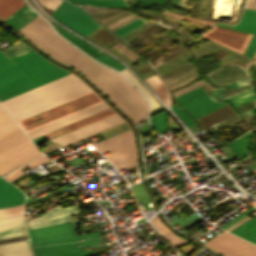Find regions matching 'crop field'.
Segmentation results:
<instances>
[{"label": "crop field", "mask_w": 256, "mask_h": 256, "mask_svg": "<svg viewBox=\"0 0 256 256\" xmlns=\"http://www.w3.org/2000/svg\"><path fill=\"white\" fill-rule=\"evenodd\" d=\"M125 76H127L148 98L151 106V110L159 107L158 103L155 99L151 96V94L142 86V84L131 74V72L126 68L121 71ZM126 77V78H127ZM127 78V79H128ZM150 110V111H151Z\"/></svg>", "instance_id": "crop-field-31"}, {"label": "crop field", "mask_w": 256, "mask_h": 256, "mask_svg": "<svg viewBox=\"0 0 256 256\" xmlns=\"http://www.w3.org/2000/svg\"><path fill=\"white\" fill-rule=\"evenodd\" d=\"M157 25H159V24L156 23V24H154L153 26H151V27L145 29L144 31H142V32H140V33H138V34L140 35V34L146 32L147 30H149V29H151V28H153V27H155V26H157Z\"/></svg>", "instance_id": "crop-field-44"}, {"label": "crop field", "mask_w": 256, "mask_h": 256, "mask_svg": "<svg viewBox=\"0 0 256 256\" xmlns=\"http://www.w3.org/2000/svg\"><path fill=\"white\" fill-rule=\"evenodd\" d=\"M17 32L57 60L82 72L116 103L134 123L146 118L147 103L128 81L119 73L97 64L58 37L39 16Z\"/></svg>", "instance_id": "crop-field-1"}, {"label": "crop field", "mask_w": 256, "mask_h": 256, "mask_svg": "<svg viewBox=\"0 0 256 256\" xmlns=\"http://www.w3.org/2000/svg\"><path fill=\"white\" fill-rule=\"evenodd\" d=\"M147 83L152 87V89L156 92V94L163 99L167 105L169 106V97L168 92L164 86V84L160 81L157 75L152 76L150 78L145 79ZM165 103V104H166Z\"/></svg>", "instance_id": "crop-field-27"}, {"label": "crop field", "mask_w": 256, "mask_h": 256, "mask_svg": "<svg viewBox=\"0 0 256 256\" xmlns=\"http://www.w3.org/2000/svg\"><path fill=\"white\" fill-rule=\"evenodd\" d=\"M23 5H25L23 0H0V19H6Z\"/></svg>", "instance_id": "crop-field-26"}, {"label": "crop field", "mask_w": 256, "mask_h": 256, "mask_svg": "<svg viewBox=\"0 0 256 256\" xmlns=\"http://www.w3.org/2000/svg\"><path fill=\"white\" fill-rule=\"evenodd\" d=\"M36 16L38 15L25 5L8 19H6L5 23L17 31Z\"/></svg>", "instance_id": "crop-field-20"}, {"label": "crop field", "mask_w": 256, "mask_h": 256, "mask_svg": "<svg viewBox=\"0 0 256 256\" xmlns=\"http://www.w3.org/2000/svg\"><path fill=\"white\" fill-rule=\"evenodd\" d=\"M41 5L50 8L54 10L61 2L62 0H38Z\"/></svg>", "instance_id": "crop-field-40"}, {"label": "crop field", "mask_w": 256, "mask_h": 256, "mask_svg": "<svg viewBox=\"0 0 256 256\" xmlns=\"http://www.w3.org/2000/svg\"><path fill=\"white\" fill-rule=\"evenodd\" d=\"M15 127H17L16 123L11 119V117L6 113V111L0 105V135L15 128Z\"/></svg>", "instance_id": "crop-field-30"}, {"label": "crop field", "mask_w": 256, "mask_h": 256, "mask_svg": "<svg viewBox=\"0 0 256 256\" xmlns=\"http://www.w3.org/2000/svg\"><path fill=\"white\" fill-rule=\"evenodd\" d=\"M248 219H249V218L246 217V218L242 219L241 221L235 223L234 225L230 226V227L227 228L226 230L230 231V230L234 229L235 227H237L238 225L242 224L243 222H245V221L248 220Z\"/></svg>", "instance_id": "crop-field-43"}, {"label": "crop field", "mask_w": 256, "mask_h": 256, "mask_svg": "<svg viewBox=\"0 0 256 256\" xmlns=\"http://www.w3.org/2000/svg\"><path fill=\"white\" fill-rule=\"evenodd\" d=\"M32 246L72 242L82 238L99 237L100 232L77 236L71 222L28 230Z\"/></svg>", "instance_id": "crop-field-7"}, {"label": "crop field", "mask_w": 256, "mask_h": 256, "mask_svg": "<svg viewBox=\"0 0 256 256\" xmlns=\"http://www.w3.org/2000/svg\"><path fill=\"white\" fill-rule=\"evenodd\" d=\"M54 27L60 35H62L63 37H65L66 39H68L69 41H71L81 49H83L85 52H87L91 56L95 57L103 53L102 51L96 49L95 47L89 45L88 43L84 42L83 40L79 39L78 37L66 31L65 29L61 28L60 26L56 25Z\"/></svg>", "instance_id": "crop-field-23"}, {"label": "crop field", "mask_w": 256, "mask_h": 256, "mask_svg": "<svg viewBox=\"0 0 256 256\" xmlns=\"http://www.w3.org/2000/svg\"><path fill=\"white\" fill-rule=\"evenodd\" d=\"M27 234L25 231V228L23 225L6 228V229H0V239L14 237V236H20Z\"/></svg>", "instance_id": "crop-field-33"}, {"label": "crop field", "mask_w": 256, "mask_h": 256, "mask_svg": "<svg viewBox=\"0 0 256 256\" xmlns=\"http://www.w3.org/2000/svg\"><path fill=\"white\" fill-rule=\"evenodd\" d=\"M162 13L165 14V15H168V16L184 19V20H187V21L199 23V24H202V25L210 26V27L214 23L212 21L198 19V18H193V17H187V16H183V15H180V14H177V13L168 12V11H163Z\"/></svg>", "instance_id": "crop-field-34"}, {"label": "crop field", "mask_w": 256, "mask_h": 256, "mask_svg": "<svg viewBox=\"0 0 256 256\" xmlns=\"http://www.w3.org/2000/svg\"><path fill=\"white\" fill-rule=\"evenodd\" d=\"M122 123H124V121L117 114H115L52 141L65 147Z\"/></svg>", "instance_id": "crop-field-11"}, {"label": "crop field", "mask_w": 256, "mask_h": 256, "mask_svg": "<svg viewBox=\"0 0 256 256\" xmlns=\"http://www.w3.org/2000/svg\"><path fill=\"white\" fill-rule=\"evenodd\" d=\"M23 207H24V205L17 206V207L6 208V209H1L0 210V217L20 214L23 211Z\"/></svg>", "instance_id": "crop-field-39"}, {"label": "crop field", "mask_w": 256, "mask_h": 256, "mask_svg": "<svg viewBox=\"0 0 256 256\" xmlns=\"http://www.w3.org/2000/svg\"><path fill=\"white\" fill-rule=\"evenodd\" d=\"M76 4H90L97 6L126 7L124 0H68Z\"/></svg>", "instance_id": "crop-field-29"}, {"label": "crop field", "mask_w": 256, "mask_h": 256, "mask_svg": "<svg viewBox=\"0 0 256 256\" xmlns=\"http://www.w3.org/2000/svg\"><path fill=\"white\" fill-rule=\"evenodd\" d=\"M95 59H97L98 61L112 67L115 68L117 70H122L126 67H124L123 65H121L119 62H117L116 60L112 59L111 57L107 56L105 53L95 57Z\"/></svg>", "instance_id": "crop-field-36"}, {"label": "crop field", "mask_w": 256, "mask_h": 256, "mask_svg": "<svg viewBox=\"0 0 256 256\" xmlns=\"http://www.w3.org/2000/svg\"><path fill=\"white\" fill-rule=\"evenodd\" d=\"M162 29H164V27L159 25V26L153 28L152 30L146 32L145 34L141 35L140 37L134 39L133 41H131V42L127 43V44H129L131 47L134 48V47L138 46L139 44H141L142 42H144L147 39H149V36L157 33L158 31H160Z\"/></svg>", "instance_id": "crop-field-35"}, {"label": "crop field", "mask_w": 256, "mask_h": 256, "mask_svg": "<svg viewBox=\"0 0 256 256\" xmlns=\"http://www.w3.org/2000/svg\"><path fill=\"white\" fill-rule=\"evenodd\" d=\"M138 18V17H137ZM136 19V18H135ZM134 20V19H133ZM132 21V20H131ZM130 22V21H129ZM128 23V22H127ZM126 23H124V24H122V25H120V26H118V27H116V28H114V29H112L113 31L114 30H116V29H118L119 27H121V26H123V25H125Z\"/></svg>", "instance_id": "crop-field-45"}, {"label": "crop field", "mask_w": 256, "mask_h": 256, "mask_svg": "<svg viewBox=\"0 0 256 256\" xmlns=\"http://www.w3.org/2000/svg\"><path fill=\"white\" fill-rule=\"evenodd\" d=\"M107 108H109V106L106 105L104 102H102L100 104H97L95 106H92L90 108H87L85 110L77 112L75 114H72L70 116H67L65 118H62L60 120H57V121L52 122L50 124H47L45 126H42V127L37 128L35 130L27 132V135L30 137V139L38 137L40 135L46 134L48 132H51V131H53L55 129H58L60 127H63V126L68 125L70 123H73V122H75L77 120H80L82 118H85L87 116L95 114V113H97L99 111H102L104 109H107Z\"/></svg>", "instance_id": "crop-field-15"}, {"label": "crop field", "mask_w": 256, "mask_h": 256, "mask_svg": "<svg viewBox=\"0 0 256 256\" xmlns=\"http://www.w3.org/2000/svg\"><path fill=\"white\" fill-rule=\"evenodd\" d=\"M234 30L253 34L250 42L248 43L251 37L250 34L217 26H214L211 30L202 35L240 54L248 43L243 55L251 58L256 49V11L245 9L239 23L235 25Z\"/></svg>", "instance_id": "crop-field-4"}, {"label": "crop field", "mask_w": 256, "mask_h": 256, "mask_svg": "<svg viewBox=\"0 0 256 256\" xmlns=\"http://www.w3.org/2000/svg\"><path fill=\"white\" fill-rule=\"evenodd\" d=\"M242 74H245L244 69L241 66H239L237 63H235V64H232V65L220 68V69H218V70H216V71H214L212 73H209L207 75L209 77V80L216 85V84H218L220 82L228 81V80H230L232 78H235L237 76H240ZM247 76L248 75H246L244 77H247ZM244 77H241V78H244ZM241 78H238V79H241ZM238 79H236V80H238ZM236 80H233V81L230 80L231 82H229V81L228 82L232 83V82H234ZM229 83H226V84H229ZM221 84H223V83H221ZM221 84H218V85H221ZM226 84H223V85H226ZM218 85H216V86H218Z\"/></svg>", "instance_id": "crop-field-18"}, {"label": "crop field", "mask_w": 256, "mask_h": 256, "mask_svg": "<svg viewBox=\"0 0 256 256\" xmlns=\"http://www.w3.org/2000/svg\"><path fill=\"white\" fill-rule=\"evenodd\" d=\"M176 100L194 119L225 105L224 101L217 102L201 87L176 97Z\"/></svg>", "instance_id": "crop-field-10"}, {"label": "crop field", "mask_w": 256, "mask_h": 256, "mask_svg": "<svg viewBox=\"0 0 256 256\" xmlns=\"http://www.w3.org/2000/svg\"><path fill=\"white\" fill-rule=\"evenodd\" d=\"M24 204L23 194L0 178V209Z\"/></svg>", "instance_id": "crop-field-16"}, {"label": "crop field", "mask_w": 256, "mask_h": 256, "mask_svg": "<svg viewBox=\"0 0 256 256\" xmlns=\"http://www.w3.org/2000/svg\"><path fill=\"white\" fill-rule=\"evenodd\" d=\"M102 102L93 92L17 121L27 132L92 105Z\"/></svg>", "instance_id": "crop-field-5"}, {"label": "crop field", "mask_w": 256, "mask_h": 256, "mask_svg": "<svg viewBox=\"0 0 256 256\" xmlns=\"http://www.w3.org/2000/svg\"><path fill=\"white\" fill-rule=\"evenodd\" d=\"M172 110L178 115V117L188 126H193L195 123L191 120V118L185 114L176 103L171 106Z\"/></svg>", "instance_id": "crop-field-37"}, {"label": "crop field", "mask_w": 256, "mask_h": 256, "mask_svg": "<svg viewBox=\"0 0 256 256\" xmlns=\"http://www.w3.org/2000/svg\"><path fill=\"white\" fill-rule=\"evenodd\" d=\"M186 0H173L172 4L177 8L185 9Z\"/></svg>", "instance_id": "crop-field-42"}, {"label": "crop field", "mask_w": 256, "mask_h": 256, "mask_svg": "<svg viewBox=\"0 0 256 256\" xmlns=\"http://www.w3.org/2000/svg\"><path fill=\"white\" fill-rule=\"evenodd\" d=\"M0 52V102L70 74L42 58L21 41Z\"/></svg>", "instance_id": "crop-field-2"}, {"label": "crop field", "mask_w": 256, "mask_h": 256, "mask_svg": "<svg viewBox=\"0 0 256 256\" xmlns=\"http://www.w3.org/2000/svg\"><path fill=\"white\" fill-rule=\"evenodd\" d=\"M0 256H33L28 240L0 245Z\"/></svg>", "instance_id": "crop-field-19"}, {"label": "crop field", "mask_w": 256, "mask_h": 256, "mask_svg": "<svg viewBox=\"0 0 256 256\" xmlns=\"http://www.w3.org/2000/svg\"><path fill=\"white\" fill-rule=\"evenodd\" d=\"M256 171V170H255Z\"/></svg>", "instance_id": "crop-field-47"}, {"label": "crop field", "mask_w": 256, "mask_h": 256, "mask_svg": "<svg viewBox=\"0 0 256 256\" xmlns=\"http://www.w3.org/2000/svg\"><path fill=\"white\" fill-rule=\"evenodd\" d=\"M144 22H146V21L143 18L140 17V18L126 24L125 26L121 27L120 29H118L114 32H116L120 36V35L126 33L127 31L131 30L132 28H134V27H136V26H138V25H140Z\"/></svg>", "instance_id": "crop-field-38"}, {"label": "crop field", "mask_w": 256, "mask_h": 256, "mask_svg": "<svg viewBox=\"0 0 256 256\" xmlns=\"http://www.w3.org/2000/svg\"><path fill=\"white\" fill-rule=\"evenodd\" d=\"M77 205L61 208L55 206L46 213L42 214L38 218L25 221L26 228H35L46 225H52L57 223L66 222L72 219L70 216L79 214Z\"/></svg>", "instance_id": "crop-field-13"}, {"label": "crop field", "mask_w": 256, "mask_h": 256, "mask_svg": "<svg viewBox=\"0 0 256 256\" xmlns=\"http://www.w3.org/2000/svg\"><path fill=\"white\" fill-rule=\"evenodd\" d=\"M157 229L158 231L169 241L171 242L175 247L180 246L182 244L188 243V241L178 237L176 234H174L170 229H168L158 218L156 215L151 221H150Z\"/></svg>", "instance_id": "crop-field-24"}, {"label": "crop field", "mask_w": 256, "mask_h": 256, "mask_svg": "<svg viewBox=\"0 0 256 256\" xmlns=\"http://www.w3.org/2000/svg\"><path fill=\"white\" fill-rule=\"evenodd\" d=\"M254 108H255V100L236 107V109L238 110V112L240 114L247 111V110H251V109H254Z\"/></svg>", "instance_id": "crop-field-41"}, {"label": "crop field", "mask_w": 256, "mask_h": 256, "mask_svg": "<svg viewBox=\"0 0 256 256\" xmlns=\"http://www.w3.org/2000/svg\"><path fill=\"white\" fill-rule=\"evenodd\" d=\"M167 123L166 112L158 114L152 118H150L151 126L160 134L165 132Z\"/></svg>", "instance_id": "crop-field-32"}, {"label": "crop field", "mask_w": 256, "mask_h": 256, "mask_svg": "<svg viewBox=\"0 0 256 256\" xmlns=\"http://www.w3.org/2000/svg\"><path fill=\"white\" fill-rule=\"evenodd\" d=\"M51 14L65 25L80 32L84 36L101 26L82 9L72 6L64 1Z\"/></svg>", "instance_id": "crop-field-8"}, {"label": "crop field", "mask_w": 256, "mask_h": 256, "mask_svg": "<svg viewBox=\"0 0 256 256\" xmlns=\"http://www.w3.org/2000/svg\"><path fill=\"white\" fill-rule=\"evenodd\" d=\"M204 245L224 256H256L255 245L225 231L221 232Z\"/></svg>", "instance_id": "crop-field-9"}, {"label": "crop field", "mask_w": 256, "mask_h": 256, "mask_svg": "<svg viewBox=\"0 0 256 256\" xmlns=\"http://www.w3.org/2000/svg\"><path fill=\"white\" fill-rule=\"evenodd\" d=\"M29 140L19 128L0 138V154Z\"/></svg>", "instance_id": "crop-field-21"}, {"label": "crop field", "mask_w": 256, "mask_h": 256, "mask_svg": "<svg viewBox=\"0 0 256 256\" xmlns=\"http://www.w3.org/2000/svg\"><path fill=\"white\" fill-rule=\"evenodd\" d=\"M91 91L79 78L70 74L1 104L17 121Z\"/></svg>", "instance_id": "crop-field-3"}, {"label": "crop field", "mask_w": 256, "mask_h": 256, "mask_svg": "<svg viewBox=\"0 0 256 256\" xmlns=\"http://www.w3.org/2000/svg\"><path fill=\"white\" fill-rule=\"evenodd\" d=\"M98 240L99 238H96L75 243L36 247L33 249L36 256H89L91 249L81 251L80 247L73 246L77 244H81V246L95 244L98 242Z\"/></svg>", "instance_id": "crop-field-14"}, {"label": "crop field", "mask_w": 256, "mask_h": 256, "mask_svg": "<svg viewBox=\"0 0 256 256\" xmlns=\"http://www.w3.org/2000/svg\"><path fill=\"white\" fill-rule=\"evenodd\" d=\"M254 129H251L245 133H243L240 137L235 139L234 141L226 144L229 148H231L241 159L244 157L249 138Z\"/></svg>", "instance_id": "crop-field-25"}, {"label": "crop field", "mask_w": 256, "mask_h": 256, "mask_svg": "<svg viewBox=\"0 0 256 256\" xmlns=\"http://www.w3.org/2000/svg\"><path fill=\"white\" fill-rule=\"evenodd\" d=\"M103 154L110 151L106 158L118 170L126 169L137 164L133 136L130 130L94 144Z\"/></svg>", "instance_id": "crop-field-6"}, {"label": "crop field", "mask_w": 256, "mask_h": 256, "mask_svg": "<svg viewBox=\"0 0 256 256\" xmlns=\"http://www.w3.org/2000/svg\"><path fill=\"white\" fill-rule=\"evenodd\" d=\"M46 161H49V159H47L45 156H41V157H39V158H37V159H35V160L25 164V165L13 170L9 174L5 175L3 178L10 182L13 179H15L16 177H18L19 175H21L22 173H24V172L21 171L24 168H26V167L32 168V167L37 166L39 164H42Z\"/></svg>", "instance_id": "crop-field-28"}, {"label": "crop field", "mask_w": 256, "mask_h": 256, "mask_svg": "<svg viewBox=\"0 0 256 256\" xmlns=\"http://www.w3.org/2000/svg\"><path fill=\"white\" fill-rule=\"evenodd\" d=\"M253 59H255L254 62L256 63V52H255V54L253 56Z\"/></svg>", "instance_id": "crop-field-46"}, {"label": "crop field", "mask_w": 256, "mask_h": 256, "mask_svg": "<svg viewBox=\"0 0 256 256\" xmlns=\"http://www.w3.org/2000/svg\"><path fill=\"white\" fill-rule=\"evenodd\" d=\"M230 232L256 244V216Z\"/></svg>", "instance_id": "crop-field-22"}, {"label": "crop field", "mask_w": 256, "mask_h": 256, "mask_svg": "<svg viewBox=\"0 0 256 256\" xmlns=\"http://www.w3.org/2000/svg\"><path fill=\"white\" fill-rule=\"evenodd\" d=\"M41 155L40 151L29 140L0 155V175Z\"/></svg>", "instance_id": "crop-field-12"}, {"label": "crop field", "mask_w": 256, "mask_h": 256, "mask_svg": "<svg viewBox=\"0 0 256 256\" xmlns=\"http://www.w3.org/2000/svg\"><path fill=\"white\" fill-rule=\"evenodd\" d=\"M113 114H115V112H114L111 108H109V109L104 110V111H102V112H100V113H97V114H95V115H92V116H90V117H87V118H85V119H82V120H80V121H78V122H75V123L70 124V125H68V126H65V127H63V128H60V129H58V130H56V131H53V132H51V133H48V134H46V137H47L49 140H52V139L57 138V137H59V136H61V135H64V134H66V133H69V132H71V131H74V130H76V129H79V128L83 127V126H86V125H88V124H91V123H93V122H96V121H98V120H101V119H103V118H105V117H108V116H110V115H113Z\"/></svg>", "instance_id": "crop-field-17"}]
</instances>
